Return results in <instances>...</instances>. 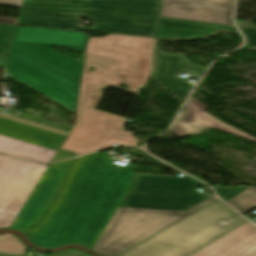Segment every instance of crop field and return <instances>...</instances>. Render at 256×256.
<instances>
[{
	"label": "crop field",
	"instance_id": "8a807250",
	"mask_svg": "<svg viewBox=\"0 0 256 256\" xmlns=\"http://www.w3.org/2000/svg\"><path fill=\"white\" fill-rule=\"evenodd\" d=\"M154 38L109 35L89 38L80 84L75 124L61 149L77 155L118 145H137L133 132L122 131L124 118L94 110L101 89L134 93L148 80ZM88 66L95 67L87 72ZM104 70L103 73L101 71ZM119 83L129 90L118 87Z\"/></svg>",
	"mask_w": 256,
	"mask_h": 256
},
{
	"label": "crop field",
	"instance_id": "ac0d7876",
	"mask_svg": "<svg viewBox=\"0 0 256 256\" xmlns=\"http://www.w3.org/2000/svg\"><path fill=\"white\" fill-rule=\"evenodd\" d=\"M103 153L77 158L41 224L28 238L37 247L93 248L129 189L134 167L112 168Z\"/></svg>",
	"mask_w": 256,
	"mask_h": 256
},
{
	"label": "crop field",
	"instance_id": "34b2d1b8",
	"mask_svg": "<svg viewBox=\"0 0 256 256\" xmlns=\"http://www.w3.org/2000/svg\"><path fill=\"white\" fill-rule=\"evenodd\" d=\"M87 40L85 32L16 26L3 75L75 113L83 63L50 46L85 53Z\"/></svg>",
	"mask_w": 256,
	"mask_h": 256
},
{
	"label": "crop field",
	"instance_id": "412701ff",
	"mask_svg": "<svg viewBox=\"0 0 256 256\" xmlns=\"http://www.w3.org/2000/svg\"><path fill=\"white\" fill-rule=\"evenodd\" d=\"M160 0H23L16 25L154 36ZM93 21L80 25L79 16Z\"/></svg>",
	"mask_w": 256,
	"mask_h": 256
},
{
	"label": "crop field",
	"instance_id": "f4fd0767",
	"mask_svg": "<svg viewBox=\"0 0 256 256\" xmlns=\"http://www.w3.org/2000/svg\"><path fill=\"white\" fill-rule=\"evenodd\" d=\"M235 215L217 200L118 256H190L243 224ZM223 220L229 223L219 226Z\"/></svg>",
	"mask_w": 256,
	"mask_h": 256
},
{
	"label": "crop field",
	"instance_id": "dd49c442",
	"mask_svg": "<svg viewBox=\"0 0 256 256\" xmlns=\"http://www.w3.org/2000/svg\"><path fill=\"white\" fill-rule=\"evenodd\" d=\"M137 155L153 164L169 167L139 149ZM175 171L178 173L174 177L134 174L132 185L120 207L184 212L213 196L198 193L195 187L202 186L201 182L192 178L176 177L181 172Z\"/></svg>",
	"mask_w": 256,
	"mask_h": 256
},
{
	"label": "crop field",
	"instance_id": "e52e79f7",
	"mask_svg": "<svg viewBox=\"0 0 256 256\" xmlns=\"http://www.w3.org/2000/svg\"><path fill=\"white\" fill-rule=\"evenodd\" d=\"M215 200L214 196L184 213L118 208L93 250L114 256Z\"/></svg>",
	"mask_w": 256,
	"mask_h": 256
},
{
	"label": "crop field",
	"instance_id": "d8731c3e",
	"mask_svg": "<svg viewBox=\"0 0 256 256\" xmlns=\"http://www.w3.org/2000/svg\"><path fill=\"white\" fill-rule=\"evenodd\" d=\"M47 167L0 156V228H10Z\"/></svg>",
	"mask_w": 256,
	"mask_h": 256
},
{
	"label": "crop field",
	"instance_id": "5a996713",
	"mask_svg": "<svg viewBox=\"0 0 256 256\" xmlns=\"http://www.w3.org/2000/svg\"><path fill=\"white\" fill-rule=\"evenodd\" d=\"M73 161L74 159L48 167L11 229L25 234L39 222L57 195Z\"/></svg>",
	"mask_w": 256,
	"mask_h": 256
},
{
	"label": "crop field",
	"instance_id": "3316defc",
	"mask_svg": "<svg viewBox=\"0 0 256 256\" xmlns=\"http://www.w3.org/2000/svg\"><path fill=\"white\" fill-rule=\"evenodd\" d=\"M233 0H163L160 16L232 26Z\"/></svg>",
	"mask_w": 256,
	"mask_h": 256
},
{
	"label": "crop field",
	"instance_id": "28ad6ade",
	"mask_svg": "<svg viewBox=\"0 0 256 256\" xmlns=\"http://www.w3.org/2000/svg\"><path fill=\"white\" fill-rule=\"evenodd\" d=\"M157 44L158 41L155 44L150 79L184 101L193 84L177 78V75L188 72L192 75L202 76L207 67L190 66L182 55L160 52L157 49Z\"/></svg>",
	"mask_w": 256,
	"mask_h": 256
},
{
	"label": "crop field",
	"instance_id": "d1516ede",
	"mask_svg": "<svg viewBox=\"0 0 256 256\" xmlns=\"http://www.w3.org/2000/svg\"><path fill=\"white\" fill-rule=\"evenodd\" d=\"M256 249V227L245 223L192 256H247Z\"/></svg>",
	"mask_w": 256,
	"mask_h": 256
},
{
	"label": "crop field",
	"instance_id": "22f410ed",
	"mask_svg": "<svg viewBox=\"0 0 256 256\" xmlns=\"http://www.w3.org/2000/svg\"><path fill=\"white\" fill-rule=\"evenodd\" d=\"M238 33L236 28L160 18L156 40H198L212 37L216 31Z\"/></svg>",
	"mask_w": 256,
	"mask_h": 256
},
{
	"label": "crop field",
	"instance_id": "cbeb9de0",
	"mask_svg": "<svg viewBox=\"0 0 256 256\" xmlns=\"http://www.w3.org/2000/svg\"><path fill=\"white\" fill-rule=\"evenodd\" d=\"M200 102V101H199ZM194 98L190 97L187 104L185 105V112L180 113L178 118L184 119L192 125L204 130L206 128L217 129L222 132L230 133L235 136L242 137L244 139L256 141L252 136L245 134L233 127H230L223 122L219 121L215 117L209 115L205 111L209 108L199 103Z\"/></svg>",
	"mask_w": 256,
	"mask_h": 256
},
{
	"label": "crop field",
	"instance_id": "5142ce71",
	"mask_svg": "<svg viewBox=\"0 0 256 256\" xmlns=\"http://www.w3.org/2000/svg\"><path fill=\"white\" fill-rule=\"evenodd\" d=\"M0 153L37 162H50L55 155L56 150L0 135Z\"/></svg>",
	"mask_w": 256,
	"mask_h": 256
},
{
	"label": "crop field",
	"instance_id": "d9b57169",
	"mask_svg": "<svg viewBox=\"0 0 256 256\" xmlns=\"http://www.w3.org/2000/svg\"><path fill=\"white\" fill-rule=\"evenodd\" d=\"M227 203L243 215L246 214L256 208V187L253 186L247 189Z\"/></svg>",
	"mask_w": 256,
	"mask_h": 256
},
{
	"label": "crop field",
	"instance_id": "733c2abd",
	"mask_svg": "<svg viewBox=\"0 0 256 256\" xmlns=\"http://www.w3.org/2000/svg\"><path fill=\"white\" fill-rule=\"evenodd\" d=\"M26 246H24L12 234H0V252L24 255Z\"/></svg>",
	"mask_w": 256,
	"mask_h": 256
},
{
	"label": "crop field",
	"instance_id": "4a817a6b",
	"mask_svg": "<svg viewBox=\"0 0 256 256\" xmlns=\"http://www.w3.org/2000/svg\"><path fill=\"white\" fill-rule=\"evenodd\" d=\"M15 26L0 24V67H4Z\"/></svg>",
	"mask_w": 256,
	"mask_h": 256
},
{
	"label": "crop field",
	"instance_id": "bc2a9ffb",
	"mask_svg": "<svg viewBox=\"0 0 256 256\" xmlns=\"http://www.w3.org/2000/svg\"><path fill=\"white\" fill-rule=\"evenodd\" d=\"M239 28L247 40V49L256 50V27L237 21Z\"/></svg>",
	"mask_w": 256,
	"mask_h": 256
},
{
	"label": "crop field",
	"instance_id": "214f88e0",
	"mask_svg": "<svg viewBox=\"0 0 256 256\" xmlns=\"http://www.w3.org/2000/svg\"><path fill=\"white\" fill-rule=\"evenodd\" d=\"M170 131L176 134L177 136H187L201 132L197 128L179 119L176 120Z\"/></svg>",
	"mask_w": 256,
	"mask_h": 256
},
{
	"label": "crop field",
	"instance_id": "92a150f3",
	"mask_svg": "<svg viewBox=\"0 0 256 256\" xmlns=\"http://www.w3.org/2000/svg\"><path fill=\"white\" fill-rule=\"evenodd\" d=\"M251 186H240V187H216V193L221 197L225 202L229 201L242 191L246 190Z\"/></svg>",
	"mask_w": 256,
	"mask_h": 256
},
{
	"label": "crop field",
	"instance_id": "dafd665d",
	"mask_svg": "<svg viewBox=\"0 0 256 256\" xmlns=\"http://www.w3.org/2000/svg\"><path fill=\"white\" fill-rule=\"evenodd\" d=\"M0 256H6V255H0ZM50 256H89V255L78 250H69L66 252L58 253V254H52Z\"/></svg>",
	"mask_w": 256,
	"mask_h": 256
},
{
	"label": "crop field",
	"instance_id": "00972430",
	"mask_svg": "<svg viewBox=\"0 0 256 256\" xmlns=\"http://www.w3.org/2000/svg\"><path fill=\"white\" fill-rule=\"evenodd\" d=\"M72 156L73 155L71 153L58 149V151H57L56 155L54 156L52 162L63 159V158L72 157Z\"/></svg>",
	"mask_w": 256,
	"mask_h": 256
},
{
	"label": "crop field",
	"instance_id": "a9b5d70f",
	"mask_svg": "<svg viewBox=\"0 0 256 256\" xmlns=\"http://www.w3.org/2000/svg\"><path fill=\"white\" fill-rule=\"evenodd\" d=\"M22 0H0V5H7L20 8Z\"/></svg>",
	"mask_w": 256,
	"mask_h": 256
},
{
	"label": "crop field",
	"instance_id": "4177f3b9",
	"mask_svg": "<svg viewBox=\"0 0 256 256\" xmlns=\"http://www.w3.org/2000/svg\"><path fill=\"white\" fill-rule=\"evenodd\" d=\"M16 21H17V19H15V18H3V17H0V22L15 24Z\"/></svg>",
	"mask_w": 256,
	"mask_h": 256
},
{
	"label": "crop field",
	"instance_id": "730fd06b",
	"mask_svg": "<svg viewBox=\"0 0 256 256\" xmlns=\"http://www.w3.org/2000/svg\"><path fill=\"white\" fill-rule=\"evenodd\" d=\"M250 256H256V252H254L253 254H251Z\"/></svg>",
	"mask_w": 256,
	"mask_h": 256
},
{
	"label": "crop field",
	"instance_id": "eef30255",
	"mask_svg": "<svg viewBox=\"0 0 256 256\" xmlns=\"http://www.w3.org/2000/svg\"><path fill=\"white\" fill-rule=\"evenodd\" d=\"M256 223V222H255Z\"/></svg>",
	"mask_w": 256,
	"mask_h": 256
}]
</instances>
